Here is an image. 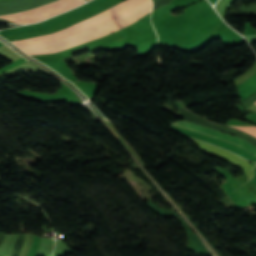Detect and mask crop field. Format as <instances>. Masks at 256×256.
Instances as JSON below:
<instances>
[{"label": "crop field", "instance_id": "ac0d7876", "mask_svg": "<svg viewBox=\"0 0 256 256\" xmlns=\"http://www.w3.org/2000/svg\"><path fill=\"white\" fill-rule=\"evenodd\" d=\"M82 3L84 0H57L24 12L1 15L0 18L18 23H33L72 9Z\"/></svg>", "mask_w": 256, "mask_h": 256}, {"label": "crop field", "instance_id": "8a807250", "mask_svg": "<svg viewBox=\"0 0 256 256\" xmlns=\"http://www.w3.org/2000/svg\"><path fill=\"white\" fill-rule=\"evenodd\" d=\"M151 7L150 0H126L49 36L62 51L122 29L148 14ZM50 38L44 35L12 43L30 55L59 52Z\"/></svg>", "mask_w": 256, "mask_h": 256}, {"label": "crop field", "instance_id": "412701ff", "mask_svg": "<svg viewBox=\"0 0 256 256\" xmlns=\"http://www.w3.org/2000/svg\"><path fill=\"white\" fill-rule=\"evenodd\" d=\"M146 204L150 209H152L154 212L161 216H171L178 218L187 232L188 247L199 254L210 255V253L203 246L199 238L192 232V230L186 225V223L179 217V215L176 212L160 208L154 205L151 201L147 202Z\"/></svg>", "mask_w": 256, "mask_h": 256}, {"label": "crop field", "instance_id": "34b2d1b8", "mask_svg": "<svg viewBox=\"0 0 256 256\" xmlns=\"http://www.w3.org/2000/svg\"><path fill=\"white\" fill-rule=\"evenodd\" d=\"M172 124L177 125V126L182 127V128L198 131V132L203 133L207 136H211V137H215V138H218V139H222V140H225V141L232 142V143L242 147L243 149L249 151L250 153H252L256 156V147L253 146L252 144L248 143L247 141L239 138V137H235V136L228 135V134H225V133H221V132H218V131L210 130V129L192 124L190 122H185L183 120L174 122Z\"/></svg>", "mask_w": 256, "mask_h": 256}, {"label": "crop field", "instance_id": "f4fd0767", "mask_svg": "<svg viewBox=\"0 0 256 256\" xmlns=\"http://www.w3.org/2000/svg\"><path fill=\"white\" fill-rule=\"evenodd\" d=\"M233 127H236V128H239L241 130H244L254 136H256V126L254 127H247V126H233Z\"/></svg>", "mask_w": 256, "mask_h": 256}, {"label": "crop field", "instance_id": "dd49c442", "mask_svg": "<svg viewBox=\"0 0 256 256\" xmlns=\"http://www.w3.org/2000/svg\"><path fill=\"white\" fill-rule=\"evenodd\" d=\"M256 104V103H255Z\"/></svg>", "mask_w": 256, "mask_h": 256}]
</instances>
